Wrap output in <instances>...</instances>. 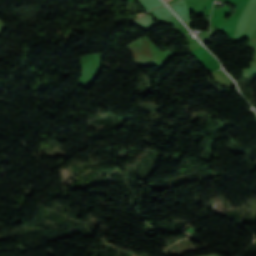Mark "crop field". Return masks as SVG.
I'll use <instances>...</instances> for the list:
<instances>
[{
    "mask_svg": "<svg viewBox=\"0 0 256 256\" xmlns=\"http://www.w3.org/2000/svg\"><path fill=\"white\" fill-rule=\"evenodd\" d=\"M166 3L168 2V1H170V0H164Z\"/></svg>",
    "mask_w": 256,
    "mask_h": 256,
    "instance_id": "1",
    "label": "crop field"
}]
</instances>
